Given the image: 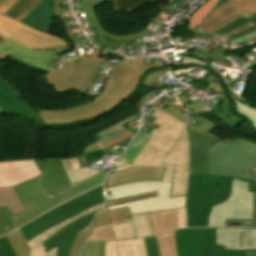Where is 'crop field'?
Instances as JSON below:
<instances>
[{
  "label": "crop field",
  "instance_id": "crop-field-1",
  "mask_svg": "<svg viewBox=\"0 0 256 256\" xmlns=\"http://www.w3.org/2000/svg\"><path fill=\"white\" fill-rule=\"evenodd\" d=\"M164 66L167 65L144 64V58L123 60L114 66L102 93L93 101L63 110H42L38 113L48 125L88 120L108 112L134 92L147 71Z\"/></svg>",
  "mask_w": 256,
  "mask_h": 256
},
{
  "label": "crop field",
  "instance_id": "crop-field-2",
  "mask_svg": "<svg viewBox=\"0 0 256 256\" xmlns=\"http://www.w3.org/2000/svg\"><path fill=\"white\" fill-rule=\"evenodd\" d=\"M231 178L190 174L187 191L188 227L207 226L212 206L227 198Z\"/></svg>",
  "mask_w": 256,
  "mask_h": 256
},
{
  "label": "crop field",
  "instance_id": "crop-field-3",
  "mask_svg": "<svg viewBox=\"0 0 256 256\" xmlns=\"http://www.w3.org/2000/svg\"><path fill=\"white\" fill-rule=\"evenodd\" d=\"M171 187L172 182L143 181L108 188L106 192L111 191V195H107V201L158 191L157 196L108 206V210L129 206L131 214H138L186 207V196L170 198Z\"/></svg>",
  "mask_w": 256,
  "mask_h": 256
},
{
  "label": "crop field",
  "instance_id": "crop-field-4",
  "mask_svg": "<svg viewBox=\"0 0 256 256\" xmlns=\"http://www.w3.org/2000/svg\"><path fill=\"white\" fill-rule=\"evenodd\" d=\"M209 174L241 178L256 183V176L246 172L256 166V144L233 139L231 143L220 141L208 149Z\"/></svg>",
  "mask_w": 256,
  "mask_h": 256
},
{
  "label": "crop field",
  "instance_id": "crop-field-5",
  "mask_svg": "<svg viewBox=\"0 0 256 256\" xmlns=\"http://www.w3.org/2000/svg\"><path fill=\"white\" fill-rule=\"evenodd\" d=\"M100 50L93 49L91 57H74L73 62L65 61L61 70L51 68L46 73L47 83L58 93L76 90L83 94L89 89L96 72L107 59L98 58Z\"/></svg>",
  "mask_w": 256,
  "mask_h": 256
},
{
  "label": "crop field",
  "instance_id": "crop-field-6",
  "mask_svg": "<svg viewBox=\"0 0 256 256\" xmlns=\"http://www.w3.org/2000/svg\"><path fill=\"white\" fill-rule=\"evenodd\" d=\"M254 193L249 181L232 178L229 196L213 207L208 226H224L225 219L253 220Z\"/></svg>",
  "mask_w": 256,
  "mask_h": 256
},
{
  "label": "crop field",
  "instance_id": "crop-field-7",
  "mask_svg": "<svg viewBox=\"0 0 256 256\" xmlns=\"http://www.w3.org/2000/svg\"><path fill=\"white\" fill-rule=\"evenodd\" d=\"M104 192L102 185L93 190L59 206L58 208L46 212L47 214L37 218L24 227L20 228L27 241L50 227L61 223L75 214L82 212L90 207L104 202Z\"/></svg>",
  "mask_w": 256,
  "mask_h": 256
},
{
  "label": "crop field",
  "instance_id": "crop-field-8",
  "mask_svg": "<svg viewBox=\"0 0 256 256\" xmlns=\"http://www.w3.org/2000/svg\"><path fill=\"white\" fill-rule=\"evenodd\" d=\"M69 50H71L69 45L54 49L27 48L0 37V51L11 53L10 57L17 62L43 72L51 68L55 59L54 55Z\"/></svg>",
  "mask_w": 256,
  "mask_h": 256
},
{
  "label": "crop field",
  "instance_id": "crop-field-9",
  "mask_svg": "<svg viewBox=\"0 0 256 256\" xmlns=\"http://www.w3.org/2000/svg\"><path fill=\"white\" fill-rule=\"evenodd\" d=\"M0 36L23 46L33 48H54L66 45L58 38L43 35L2 16H0ZM7 55L9 54L0 52V60Z\"/></svg>",
  "mask_w": 256,
  "mask_h": 256
},
{
  "label": "crop field",
  "instance_id": "crop-field-10",
  "mask_svg": "<svg viewBox=\"0 0 256 256\" xmlns=\"http://www.w3.org/2000/svg\"><path fill=\"white\" fill-rule=\"evenodd\" d=\"M178 256H204L203 228L175 231ZM82 256H104L105 242H86Z\"/></svg>",
  "mask_w": 256,
  "mask_h": 256
},
{
  "label": "crop field",
  "instance_id": "crop-field-11",
  "mask_svg": "<svg viewBox=\"0 0 256 256\" xmlns=\"http://www.w3.org/2000/svg\"><path fill=\"white\" fill-rule=\"evenodd\" d=\"M106 172L105 170L93 177H90L74 186H71L69 188H67L66 190L34 205L33 207L12 215V219L14 221V224L16 227L22 225L23 223L27 222L28 220L32 219L33 217H35L36 215L80 194L78 191H85L88 190L90 188H93L99 184L102 183L104 176H105Z\"/></svg>",
  "mask_w": 256,
  "mask_h": 256
},
{
  "label": "crop field",
  "instance_id": "crop-field-12",
  "mask_svg": "<svg viewBox=\"0 0 256 256\" xmlns=\"http://www.w3.org/2000/svg\"><path fill=\"white\" fill-rule=\"evenodd\" d=\"M163 163L177 164L171 197L186 195L189 179V136L186 129Z\"/></svg>",
  "mask_w": 256,
  "mask_h": 256
},
{
  "label": "crop field",
  "instance_id": "crop-field-13",
  "mask_svg": "<svg viewBox=\"0 0 256 256\" xmlns=\"http://www.w3.org/2000/svg\"><path fill=\"white\" fill-rule=\"evenodd\" d=\"M256 12V0H229L210 16L200 22V29L213 32L232 20L243 16L248 17Z\"/></svg>",
  "mask_w": 256,
  "mask_h": 256
},
{
  "label": "crop field",
  "instance_id": "crop-field-14",
  "mask_svg": "<svg viewBox=\"0 0 256 256\" xmlns=\"http://www.w3.org/2000/svg\"><path fill=\"white\" fill-rule=\"evenodd\" d=\"M150 109L155 111L153 116L158 118L154 123L161 127L149 133L152 136L146 143L169 153L183 130L187 128V124L154 107Z\"/></svg>",
  "mask_w": 256,
  "mask_h": 256
},
{
  "label": "crop field",
  "instance_id": "crop-field-15",
  "mask_svg": "<svg viewBox=\"0 0 256 256\" xmlns=\"http://www.w3.org/2000/svg\"><path fill=\"white\" fill-rule=\"evenodd\" d=\"M140 113L141 111L128 119H125L99 133L94 134L93 136L97 142L85 147L83 153L95 152L102 149L111 148L133 136L138 128L128 131L123 124L139 120Z\"/></svg>",
  "mask_w": 256,
  "mask_h": 256
},
{
  "label": "crop field",
  "instance_id": "crop-field-16",
  "mask_svg": "<svg viewBox=\"0 0 256 256\" xmlns=\"http://www.w3.org/2000/svg\"><path fill=\"white\" fill-rule=\"evenodd\" d=\"M8 83L0 77V108L3 112H13L47 125L38 113Z\"/></svg>",
  "mask_w": 256,
  "mask_h": 256
},
{
  "label": "crop field",
  "instance_id": "crop-field-17",
  "mask_svg": "<svg viewBox=\"0 0 256 256\" xmlns=\"http://www.w3.org/2000/svg\"><path fill=\"white\" fill-rule=\"evenodd\" d=\"M103 1L113 2V0H85L86 14L88 16V19L92 22L95 30L98 33V34L89 36V39L91 40V42L96 41L94 37L100 36L101 39L105 41L107 49L113 51V49L115 48V46L117 45L118 42L128 43V42H131L132 38L137 37L139 35L140 36L148 35V37H150L151 35L156 33V31L152 32V31L144 28V29H142L132 35H128V36L115 37V36L109 34L106 30H104L100 26V24L95 16L94 6H99L100 3Z\"/></svg>",
  "mask_w": 256,
  "mask_h": 256
},
{
  "label": "crop field",
  "instance_id": "crop-field-18",
  "mask_svg": "<svg viewBox=\"0 0 256 256\" xmlns=\"http://www.w3.org/2000/svg\"><path fill=\"white\" fill-rule=\"evenodd\" d=\"M34 161L42 173L40 178L51 196L71 186L59 159Z\"/></svg>",
  "mask_w": 256,
  "mask_h": 256
},
{
  "label": "crop field",
  "instance_id": "crop-field-19",
  "mask_svg": "<svg viewBox=\"0 0 256 256\" xmlns=\"http://www.w3.org/2000/svg\"><path fill=\"white\" fill-rule=\"evenodd\" d=\"M40 174L33 160L0 163V187L14 186Z\"/></svg>",
  "mask_w": 256,
  "mask_h": 256
},
{
  "label": "crop field",
  "instance_id": "crop-field-20",
  "mask_svg": "<svg viewBox=\"0 0 256 256\" xmlns=\"http://www.w3.org/2000/svg\"><path fill=\"white\" fill-rule=\"evenodd\" d=\"M190 136V173L208 174L207 148L218 141L188 130Z\"/></svg>",
  "mask_w": 256,
  "mask_h": 256
},
{
  "label": "crop field",
  "instance_id": "crop-field-21",
  "mask_svg": "<svg viewBox=\"0 0 256 256\" xmlns=\"http://www.w3.org/2000/svg\"><path fill=\"white\" fill-rule=\"evenodd\" d=\"M96 212L78 219L44 242L46 251L58 246L57 256H68L69 249L79 230L90 225Z\"/></svg>",
  "mask_w": 256,
  "mask_h": 256
},
{
  "label": "crop field",
  "instance_id": "crop-field-22",
  "mask_svg": "<svg viewBox=\"0 0 256 256\" xmlns=\"http://www.w3.org/2000/svg\"><path fill=\"white\" fill-rule=\"evenodd\" d=\"M240 231H242V248H240ZM216 244L225 245V249L256 248V229L216 228Z\"/></svg>",
  "mask_w": 256,
  "mask_h": 256
},
{
  "label": "crop field",
  "instance_id": "crop-field-23",
  "mask_svg": "<svg viewBox=\"0 0 256 256\" xmlns=\"http://www.w3.org/2000/svg\"><path fill=\"white\" fill-rule=\"evenodd\" d=\"M151 146L145 144L132 164L119 167L120 169L118 170L132 168L136 166L166 167L161 180L172 181L176 165L161 164L164 158L166 157L167 153L160 151ZM118 170L115 168L111 172L118 171Z\"/></svg>",
  "mask_w": 256,
  "mask_h": 256
},
{
  "label": "crop field",
  "instance_id": "crop-field-24",
  "mask_svg": "<svg viewBox=\"0 0 256 256\" xmlns=\"http://www.w3.org/2000/svg\"><path fill=\"white\" fill-rule=\"evenodd\" d=\"M165 168L137 167L109 174L106 188L133 181L160 180Z\"/></svg>",
  "mask_w": 256,
  "mask_h": 256
},
{
  "label": "crop field",
  "instance_id": "crop-field-25",
  "mask_svg": "<svg viewBox=\"0 0 256 256\" xmlns=\"http://www.w3.org/2000/svg\"><path fill=\"white\" fill-rule=\"evenodd\" d=\"M53 16L52 0H41L21 21L38 31L50 33Z\"/></svg>",
  "mask_w": 256,
  "mask_h": 256
},
{
  "label": "crop field",
  "instance_id": "crop-field-26",
  "mask_svg": "<svg viewBox=\"0 0 256 256\" xmlns=\"http://www.w3.org/2000/svg\"><path fill=\"white\" fill-rule=\"evenodd\" d=\"M15 189L27 208L50 197L39 176L15 186Z\"/></svg>",
  "mask_w": 256,
  "mask_h": 256
},
{
  "label": "crop field",
  "instance_id": "crop-field-27",
  "mask_svg": "<svg viewBox=\"0 0 256 256\" xmlns=\"http://www.w3.org/2000/svg\"><path fill=\"white\" fill-rule=\"evenodd\" d=\"M106 244L105 256H147L143 239L109 241Z\"/></svg>",
  "mask_w": 256,
  "mask_h": 256
},
{
  "label": "crop field",
  "instance_id": "crop-field-28",
  "mask_svg": "<svg viewBox=\"0 0 256 256\" xmlns=\"http://www.w3.org/2000/svg\"><path fill=\"white\" fill-rule=\"evenodd\" d=\"M105 203V202H104ZM103 204V203H102ZM102 204L90 208L87 211L83 212V213H79L78 215L62 222L61 224L41 233L40 235L34 237L33 239H31L30 241H28V245L31 249L30 251V255L31 256H45V249H44V245L43 242L45 240H47L50 236L54 235L55 233H57L59 230H61L64 226L68 225L69 223L75 221L76 219H78L79 217L85 216L91 212H94L96 210H99L102 206ZM104 205V204H103Z\"/></svg>",
  "mask_w": 256,
  "mask_h": 256
},
{
  "label": "crop field",
  "instance_id": "crop-field-29",
  "mask_svg": "<svg viewBox=\"0 0 256 256\" xmlns=\"http://www.w3.org/2000/svg\"><path fill=\"white\" fill-rule=\"evenodd\" d=\"M154 235L168 233L179 228L178 209L149 213Z\"/></svg>",
  "mask_w": 256,
  "mask_h": 256
},
{
  "label": "crop field",
  "instance_id": "crop-field-30",
  "mask_svg": "<svg viewBox=\"0 0 256 256\" xmlns=\"http://www.w3.org/2000/svg\"><path fill=\"white\" fill-rule=\"evenodd\" d=\"M0 208L10 209L11 214L26 209L14 187L0 188Z\"/></svg>",
  "mask_w": 256,
  "mask_h": 256
},
{
  "label": "crop field",
  "instance_id": "crop-field-31",
  "mask_svg": "<svg viewBox=\"0 0 256 256\" xmlns=\"http://www.w3.org/2000/svg\"><path fill=\"white\" fill-rule=\"evenodd\" d=\"M205 256H245V251H222L215 249V228H204Z\"/></svg>",
  "mask_w": 256,
  "mask_h": 256
},
{
  "label": "crop field",
  "instance_id": "crop-field-32",
  "mask_svg": "<svg viewBox=\"0 0 256 256\" xmlns=\"http://www.w3.org/2000/svg\"><path fill=\"white\" fill-rule=\"evenodd\" d=\"M151 135L143 132L140 130L136 138L133 140V142L130 144V146L127 148L125 153L122 155V157L119 159L115 167L122 166L124 164L132 163L146 140Z\"/></svg>",
  "mask_w": 256,
  "mask_h": 256
},
{
  "label": "crop field",
  "instance_id": "crop-field-33",
  "mask_svg": "<svg viewBox=\"0 0 256 256\" xmlns=\"http://www.w3.org/2000/svg\"><path fill=\"white\" fill-rule=\"evenodd\" d=\"M130 217L131 216H130L128 207L107 211V206H106L100 212H98L92 227L112 223L114 221L130 218Z\"/></svg>",
  "mask_w": 256,
  "mask_h": 256
},
{
  "label": "crop field",
  "instance_id": "crop-field-34",
  "mask_svg": "<svg viewBox=\"0 0 256 256\" xmlns=\"http://www.w3.org/2000/svg\"><path fill=\"white\" fill-rule=\"evenodd\" d=\"M60 160L63 164V167H64L66 174H67L72 185H74L92 175L99 173V171L101 170V168L97 169V168L90 167V168L72 172L67 159H60Z\"/></svg>",
  "mask_w": 256,
  "mask_h": 256
},
{
  "label": "crop field",
  "instance_id": "crop-field-35",
  "mask_svg": "<svg viewBox=\"0 0 256 256\" xmlns=\"http://www.w3.org/2000/svg\"><path fill=\"white\" fill-rule=\"evenodd\" d=\"M160 256H177L174 232L156 237Z\"/></svg>",
  "mask_w": 256,
  "mask_h": 256
},
{
  "label": "crop field",
  "instance_id": "crop-field-36",
  "mask_svg": "<svg viewBox=\"0 0 256 256\" xmlns=\"http://www.w3.org/2000/svg\"><path fill=\"white\" fill-rule=\"evenodd\" d=\"M131 216L137 237L153 235L148 213Z\"/></svg>",
  "mask_w": 256,
  "mask_h": 256
},
{
  "label": "crop field",
  "instance_id": "crop-field-37",
  "mask_svg": "<svg viewBox=\"0 0 256 256\" xmlns=\"http://www.w3.org/2000/svg\"><path fill=\"white\" fill-rule=\"evenodd\" d=\"M7 238L17 256H29V247L19 229L7 235Z\"/></svg>",
  "mask_w": 256,
  "mask_h": 256
},
{
  "label": "crop field",
  "instance_id": "crop-field-38",
  "mask_svg": "<svg viewBox=\"0 0 256 256\" xmlns=\"http://www.w3.org/2000/svg\"><path fill=\"white\" fill-rule=\"evenodd\" d=\"M250 22L256 24V18L254 20L250 21ZM247 23H249V21H247L246 19L241 17V18L233 21V23L223 27L222 29H220V30H218V31H216L214 33H217V34L223 36V35L231 32V31H233V30H235V29H237V28H239V27H241V26H243V25H245ZM254 30H256V25L251 27V28H249V29H247V30H245V31H243V32H240V33H238V34H236L234 36L228 37L227 39L232 41V40H234V39H236L238 37H241V36H243L245 34H248V33L252 32V31H254Z\"/></svg>",
  "mask_w": 256,
  "mask_h": 256
},
{
  "label": "crop field",
  "instance_id": "crop-field-39",
  "mask_svg": "<svg viewBox=\"0 0 256 256\" xmlns=\"http://www.w3.org/2000/svg\"><path fill=\"white\" fill-rule=\"evenodd\" d=\"M129 221H131V218L122 220V221H118V222H114L112 224H108V225H104V226L94 227L91 229L86 240H110V239H113L111 225L125 223V222H129Z\"/></svg>",
  "mask_w": 256,
  "mask_h": 256
},
{
  "label": "crop field",
  "instance_id": "crop-field-40",
  "mask_svg": "<svg viewBox=\"0 0 256 256\" xmlns=\"http://www.w3.org/2000/svg\"><path fill=\"white\" fill-rule=\"evenodd\" d=\"M36 0H17L4 14L9 18L16 20L27 8H29Z\"/></svg>",
  "mask_w": 256,
  "mask_h": 256
},
{
  "label": "crop field",
  "instance_id": "crop-field-41",
  "mask_svg": "<svg viewBox=\"0 0 256 256\" xmlns=\"http://www.w3.org/2000/svg\"><path fill=\"white\" fill-rule=\"evenodd\" d=\"M186 56L203 59L206 62H208L209 64L213 60H215L217 62L224 63V64L230 63L226 59H224V58H222V57H220V56H218V55H216L212 52H209V51L203 50V49H198V48H195L193 53H186Z\"/></svg>",
  "mask_w": 256,
  "mask_h": 256
},
{
  "label": "crop field",
  "instance_id": "crop-field-42",
  "mask_svg": "<svg viewBox=\"0 0 256 256\" xmlns=\"http://www.w3.org/2000/svg\"><path fill=\"white\" fill-rule=\"evenodd\" d=\"M114 238H136L132 223L112 226Z\"/></svg>",
  "mask_w": 256,
  "mask_h": 256
},
{
  "label": "crop field",
  "instance_id": "crop-field-43",
  "mask_svg": "<svg viewBox=\"0 0 256 256\" xmlns=\"http://www.w3.org/2000/svg\"><path fill=\"white\" fill-rule=\"evenodd\" d=\"M231 98L235 101L236 103V110L244 115L245 117L249 118L252 127H254V129H256V109L255 108H251L246 106L245 104H243L242 102L234 99V97L231 95V93H229Z\"/></svg>",
  "mask_w": 256,
  "mask_h": 256
},
{
  "label": "crop field",
  "instance_id": "crop-field-44",
  "mask_svg": "<svg viewBox=\"0 0 256 256\" xmlns=\"http://www.w3.org/2000/svg\"><path fill=\"white\" fill-rule=\"evenodd\" d=\"M160 98L165 101L164 102V104H165L164 107L161 109V108L157 107L156 104H153L152 106H154V107H156V108H158L160 110H163V111H165V112H167V113H169V114L179 118L180 120L184 121L185 123H187L183 110L178 108L174 103L166 100L164 98V96H162ZM157 101H159V99L154 101V102H157Z\"/></svg>",
  "mask_w": 256,
  "mask_h": 256
},
{
  "label": "crop field",
  "instance_id": "crop-field-45",
  "mask_svg": "<svg viewBox=\"0 0 256 256\" xmlns=\"http://www.w3.org/2000/svg\"><path fill=\"white\" fill-rule=\"evenodd\" d=\"M147 1L149 0H115L114 7L116 11L122 9L124 11L131 12L133 9L141 6Z\"/></svg>",
  "mask_w": 256,
  "mask_h": 256
},
{
  "label": "crop field",
  "instance_id": "crop-field-46",
  "mask_svg": "<svg viewBox=\"0 0 256 256\" xmlns=\"http://www.w3.org/2000/svg\"><path fill=\"white\" fill-rule=\"evenodd\" d=\"M216 1L217 0H208L203 6L195 11L189 20V27L192 28L194 25L198 24L201 17L211 9Z\"/></svg>",
  "mask_w": 256,
  "mask_h": 256
},
{
  "label": "crop field",
  "instance_id": "crop-field-47",
  "mask_svg": "<svg viewBox=\"0 0 256 256\" xmlns=\"http://www.w3.org/2000/svg\"><path fill=\"white\" fill-rule=\"evenodd\" d=\"M13 229H15V227L10 219L8 210L0 209V236Z\"/></svg>",
  "mask_w": 256,
  "mask_h": 256
},
{
  "label": "crop field",
  "instance_id": "crop-field-48",
  "mask_svg": "<svg viewBox=\"0 0 256 256\" xmlns=\"http://www.w3.org/2000/svg\"><path fill=\"white\" fill-rule=\"evenodd\" d=\"M88 229H89V227L84 228L83 230L78 232V234L74 240V243L70 249L69 256H79Z\"/></svg>",
  "mask_w": 256,
  "mask_h": 256
},
{
  "label": "crop field",
  "instance_id": "crop-field-49",
  "mask_svg": "<svg viewBox=\"0 0 256 256\" xmlns=\"http://www.w3.org/2000/svg\"><path fill=\"white\" fill-rule=\"evenodd\" d=\"M196 118L201 119L203 121H205L199 128L193 127L189 125V129L193 130V131H197V132H201L204 133L214 139H217L220 141V139L212 134H210L209 132L212 131L213 129H215L216 127H218V125H216L215 123L205 120L203 118H200L198 115L196 116Z\"/></svg>",
  "mask_w": 256,
  "mask_h": 256
},
{
  "label": "crop field",
  "instance_id": "crop-field-50",
  "mask_svg": "<svg viewBox=\"0 0 256 256\" xmlns=\"http://www.w3.org/2000/svg\"><path fill=\"white\" fill-rule=\"evenodd\" d=\"M53 10H54V16H59L65 29L66 32L70 35V37L74 40L75 43L79 44V45H83L84 44L81 42L80 38L76 39L74 34L72 33V31L69 29L65 19L63 18L61 11H60V0H53Z\"/></svg>",
  "mask_w": 256,
  "mask_h": 256
},
{
  "label": "crop field",
  "instance_id": "crop-field-51",
  "mask_svg": "<svg viewBox=\"0 0 256 256\" xmlns=\"http://www.w3.org/2000/svg\"><path fill=\"white\" fill-rule=\"evenodd\" d=\"M144 240H145L147 255L148 256H159L158 247H157L155 237H147V238H144Z\"/></svg>",
  "mask_w": 256,
  "mask_h": 256
},
{
  "label": "crop field",
  "instance_id": "crop-field-52",
  "mask_svg": "<svg viewBox=\"0 0 256 256\" xmlns=\"http://www.w3.org/2000/svg\"><path fill=\"white\" fill-rule=\"evenodd\" d=\"M16 0H3L0 3V14L3 15L6 10L15 2ZM37 0L28 10H26L16 21L20 22L22 18L39 2Z\"/></svg>",
  "mask_w": 256,
  "mask_h": 256
},
{
  "label": "crop field",
  "instance_id": "crop-field-53",
  "mask_svg": "<svg viewBox=\"0 0 256 256\" xmlns=\"http://www.w3.org/2000/svg\"><path fill=\"white\" fill-rule=\"evenodd\" d=\"M0 256H15L6 236L0 238Z\"/></svg>",
  "mask_w": 256,
  "mask_h": 256
},
{
  "label": "crop field",
  "instance_id": "crop-field-54",
  "mask_svg": "<svg viewBox=\"0 0 256 256\" xmlns=\"http://www.w3.org/2000/svg\"><path fill=\"white\" fill-rule=\"evenodd\" d=\"M179 100L183 103L184 108L191 109L196 115L201 114V109L205 107L206 104H202L197 106L196 102L191 103L185 96L179 98Z\"/></svg>",
  "mask_w": 256,
  "mask_h": 256
},
{
  "label": "crop field",
  "instance_id": "crop-field-55",
  "mask_svg": "<svg viewBox=\"0 0 256 256\" xmlns=\"http://www.w3.org/2000/svg\"><path fill=\"white\" fill-rule=\"evenodd\" d=\"M70 165H71V168L72 170H78V169H82V168H86V167H89L87 165V162L85 160V157L82 156H77V157H74L72 159H68Z\"/></svg>",
  "mask_w": 256,
  "mask_h": 256
},
{
  "label": "crop field",
  "instance_id": "crop-field-56",
  "mask_svg": "<svg viewBox=\"0 0 256 256\" xmlns=\"http://www.w3.org/2000/svg\"><path fill=\"white\" fill-rule=\"evenodd\" d=\"M255 223H256V205H255L254 221L226 220L225 226L254 227Z\"/></svg>",
  "mask_w": 256,
  "mask_h": 256
},
{
  "label": "crop field",
  "instance_id": "crop-field-57",
  "mask_svg": "<svg viewBox=\"0 0 256 256\" xmlns=\"http://www.w3.org/2000/svg\"><path fill=\"white\" fill-rule=\"evenodd\" d=\"M157 192L155 193H150V194H145V195H140V196H134V197H129V198H125V199H121V200H117V201H109L105 204L106 205H112V204H119V203H125V202H129V201H133V200H137V199H141V198H145V197H149V196H153L156 195Z\"/></svg>",
  "mask_w": 256,
  "mask_h": 256
},
{
  "label": "crop field",
  "instance_id": "crop-field-58",
  "mask_svg": "<svg viewBox=\"0 0 256 256\" xmlns=\"http://www.w3.org/2000/svg\"><path fill=\"white\" fill-rule=\"evenodd\" d=\"M162 75V71H154L152 73H150L146 79L144 80L143 82V85L146 86L152 82H154V78H156L157 76H160ZM160 86H165L163 83H161V85H158V86H154V87H160ZM147 87V86H146ZM151 88V86H148Z\"/></svg>",
  "mask_w": 256,
  "mask_h": 256
},
{
  "label": "crop field",
  "instance_id": "crop-field-59",
  "mask_svg": "<svg viewBox=\"0 0 256 256\" xmlns=\"http://www.w3.org/2000/svg\"><path fill=\"white\" fill-rule=\"evenodd\" d=\"M105 154H110V153H108L107 151L103 150V151H99V152L94 153V154L85 155V157L87 159L88 164L90 165V163L92 161L100 160Z\"/></svg>",
  "mask_w": 256,
  "mask_h": 256
},
{
  "label": "crop field",
  "instance_id": "crop-field-60",
  "mask_svg": "<svg viewBox=\"0 0 256 256\" xmlns=\"http://www.w3.org/2000/svg\"><path fill=\"white\" fill-rule=\"evenodd\" d=\"M179 226L180 228L187 227L186 208L179 209Z\"/></svg>",
  "mask_w": 256,
  "mask_h": 256
},
{
  "label": "crop field",
  "instance_id": "crop-field-61",
  "mask_svg": "<svg viewBox=\"0 0 256 256\" xmlns=\"http://www.w3.org/2000/svg\"><path fill=\"white\" fill-rule=\"evenodd\" d=\"M254 37H256V31H254V32H252V33H250L248 35H245V36H243L241 38H238V39H236V40H234L232 42H234L235 44H238V43H241L243 41H246V40L254 38Z\"/></svg>",
  "mask_w": 256,
  "mask_h": 256
},
{
  "label": "crop field",
  "instance_id": "crop-field-62",
  "mask_svg": "<svg viewBox=\"0 0 256 256\" xmlns=\"http://www.w3.org/2000/svg\"><path fill=\"white\" fill-rule=\"evenodd\" d=\"M253 25H254V24L249 23V24H247V25H245V26H243V27H241V28H239V29H237V30H235V31H233V32H231V33H229V34L223 36V37L226 38V37H228V36L234 35V34L240 32V31H243V30H245V29H247V28H249V27H251V26H253Z\"/></svg>",
  "mask_w": 256,
  "mask_h": 256
},
{
  "label": "crop field",
  "instance_id": "crop-field-63",
  "mask_svg": "<svg viewBox=\"0 0 256 256\" xmlns=\"http://www.w3.org/2000/svg\"><path fill=\"white\" fill-rule=\"evenodd\" d=\"M190 64H203V63L194 61V60H189V59H182L181 65H177V66H184V65H190Z\"/></svg>",
  "mask_w": 256,
  "mask_h": 256
},
{
  "label": "crop field",
  "instance_id": "crop-field-64",
  "mask_svg": "<svg viewBox=\"0 0 256 256\" xmlns=\"http://www.w3.org/2000/svg\"><path fill=\"white\" fill-rule=\"evenodd\" d=\"M228 0H218L217 1V3H216V5H215V7L213 8V10L210 12V13H208L205 17H203L202 18V20L204 19V18H206L208 15H210L213 11H215L217 8H219L221 5H223L225 2H227ZM201 20V21H202Z\"/></svg>",
  "mask_w": 256,
  "mask_h": 256
},
{
  "label": "crop field",
  "instance_id": "crop-field-65",
  "mask_svg": "<svg viewBox=\"0 0 256 256\" xmlns=\"http://www.w3.org/2000/svg\"><path fill=\"white\" fill-rule=\"evenodd\" d=\"M118 146H119V145H118ZM118 146H116V147H118ZM116 147L111 148V149H107V151L110 152V153H112V154H115V155H117V156H120L121 152H120V151H116V150H115Z\"/></svg>",
  "mask_w": 256,
  "mask_h": 256
},
{
  "label": "crop field",
  "instance_id": "crop-field-66",
  "mask_svg": "<svg viewBox=\"0 0 256 256\" xmlns=\"http://www.w3.org/2000/svg\"><path fill=\"white\" fill-rule=\"evenodd\" d=\"M56 251H57V248L49 251L46 253V256H56Z\"/></svg>",
  "mask_w": 256,
  "mask_h": 256
},
{
  "label": "crop field",
  "instance_id": "crop-field-67",
  "mask_svg": "<svg viewBox=\"0 0 256 256\" xmlns=\"http://www.w3.org/2000/svg\"><path fill=\"white\" fill-rule=\"evenodd\" d=\"M246 256H256V251H247Z\"/></svg>",
  "mask_w": 256,
  "mask_h": 256
},
{
  "label": "crop field",
  "instance_id": "crop-field-68",
  "mask_svg": "<svg viewBox=\"0 0 256 256\" xmlns=\"http://www.w3.org/2000/svg\"><path fill=\"white\" fill-rule=\"evenodd\" d=\"M256 17V13L252 15L251 17L247 18L249 21Z\"/></svg>",
  "mask_w": 256,
  "mask_h": 256
},
{
  "label": "crop field",
  "instance_id": "crop-field-69",
  "mask_svg": "<svg viewBox=\"0 0 256 256\" xmlns=\"http://www.w3.org/2000/svg\"><path fill=\"white\" fill-rule=\"evenodd\" d=\"M166 99H168V98H166ZM173 98L171 97V98H169L168 100H171L172 102H173V100H172Z\"/></svg>",
  "mask_w": 256,
  "mask_h": 256
},
{
  "label": "crop field",
  "instance_id": "crop-field-70",
  "mask_svg": "<svg viewBox=\"0 0 256 256\" xmlns=\"http://www.w3.org/2000/svg\"><path fill=\"white\" fill-rule=\"evenodd\" d=\"M255 204H256V193H255Z\"/></svg>",
  "mask_w": 256,
  "mask_h": 256
},
{
  "label": "crop field",
  "instance_id": "crop-field-71",
  "mask_svg": "<svg viewBox=\"0 0 256 256\" xmlns=\"http://www.w3.org/2000/svg\"><path fill=\"white\" fill-rule=\"evenodd\" d=\"M177 106L182 107L181 104H179V105H177Z\"/></svg>",
  "mask_w": 256,
  "mask_h": 256
},
{
  "label": "crop field",
  "instance_id": "crop-field-72",
  "mask_svg": "<svg viewBox=\"0 0 256 256\" xmlns=\"http://www.w3.org/2000/svg\"><path fill=\"white\" fill-rule=\"evenodd\" d=\"M0 111H1V109H0ZM2 112V111H1Z\"/></svg>",
  "mask_w": 256,
  "mask_h": 256
},
{
  "label": "crop field",
  "instance_id": "crop-field-73",
  "mask_svg": "<svg viewBox=\"0 0 256 256\" xmlns=\"http://www.w3.org/2000/svg\"><path fill=\"white\" fill-rule=\"evenodd\" d=\"M2 0H0V2H1Z\"/></svg>",
  "mask_w": 256,
  "mask_h": 256
},
{
  "label": "crop field",
  "instance_id": "crop-field-74",
  "mask_svg": "<svg viewBox=\"0 0 256 256\" xmlns=\"http://www.w3.org/2000/svg\"><path fill=\"white\" fill-rule=\"evenodd\" d=\"M251 250H253V249H251Z\"/></svg>",
  "mask_w": 256,
  "mask_h": 256
}]
</instances>
